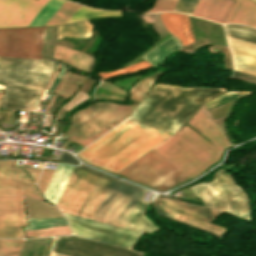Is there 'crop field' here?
Segmentation results:
<instances>
[{"instance_id": "1", "label": "crop field", "mask_w": 256, "mask_h": 256, "mask_svg": "<svg viewBox=\"0 0 256 256\" xmlns=\"http://www.w3.org/2000/svg\"><path fill=\"white\" fill-rule=\"evenodd\" d=\"M169 136L127 120L77 155L93 165L118 172Z\"/></svg>"}, {"instance_id": "2", "label": "crop field", "mask_w": 256, "mask_h": 256, "mask_svg": "<svg viewBox=\"0 0 256 256\" xmlns=\"http://www.w3.org/2000/svg\"><path fill=\"white\" fill-rule=\"evenodd\" d=\"M223 91L156 84L130 118L174 133L204 102Z\"/></svg>"}, {"instance_id": "3", "label": "crop field", "mask_w": 256, "mask_h": 256, "mask_svg": "<svg viewBox=\"0 0 256 256\" xmlns=\"http://www.w3.org/2000/svg\"><path fill=\"white\" fill-rule=\"evenodd\" d=\"M55 63L0 57V81L8 83L2 108L33 111Z\"/></svg>"}, {"instance_id": "4", "label": "crop field", "mask_w": 256, "mask_h": 256, "mask_svg": "<svg viewBox=\"0 0 256 256\" xmlns=\"http://www.w3.org/2000/svg\"><path fill=\"white\" fill-rule=\"evenodd\" d=\"M12 160L0 161V237L24 238L27 225L21 183H35L41 170L9 168Z\"/></svg>"}, {"instance_id": "5", "label": "crop field", "mask_w": 256, "mask_h": 256, "mask_svg": "<svg viewBox=\"0 0 256 256\" xmlns=\"http://www.w3.org/2000/svg\"><path fill=\"white\" fill-rule=\"evenodd\" d=\"M111 179L84 166L75 167L56 206L92 219Z\"/></svg>"}, {"instance_id": "6", "label": "crop field", "mask_w": 256, "mask_h": 256, "mask_svg": "<svg viewBox=\"0 0 256 256\" xmlns=\"http://www.w3.org/2000/svg\"><path fill=\"white\" fill-rule=\"evenodd\" d=\"M154 150L190 177L218 160L221 152L186 125Z\"/></svg>"}, {"instance_id": "7", "label": "crop field", "mask_w": 256, "mask_h": 256, "mask_svg": "<svg viewBox=\"0 0 256 256\" xmlns=\"http://www.w3.org/2000/svg\"><path fill=\"white\" fill-rule=\"evenodd\" d=\"M134 107L112 103H97L89 106L72 116L69 128L60 138L86 146L127 118Z\"/></svg>"}, {"instance_id": "8", "label": "crop field", "mask_w": 256, "mask_h": 256, "mask_svg": "<svg viewBox=\"0 0 256 256\" xmlns=\"http://www.w3.org/2000/svg\"><path fill=\"white\" fill-rule=\"evenodd\" d=\"M214 200L217 209L232 213L250 221L249 201L246 193L235 183L232 176L223 170H218L212 183H204ZM203 183L194 185L191 189L206 205L214 207Z\"/></svg>"}, {"instance_id": "9", "label": "crop field", "mask_w": 256, "mask_h": 256, "mask_svg": "<svg viewBox=\"0 0 256 256\" xmlns=\"http://www.w3.org/2000/svg\"><path fill=\"white\" fill-rule=\"evenodd\" d=\"M142 191L112 179L93 219L125 228Z\"/></svg>"}, {"instance_id": "10", "label": "crop field", "mask_w": 256, "mask_h": 256, "mask_svg": "<svg viewBox=\"0 0 256 256\" xmlns=\"http://www.w3.org/2000/svg\"><path fill=\"white\" fill-rule=\"evenodd\" d=\"M182 173L157 153L151 151L120 174L152 188L166 190L189 179Z\"/></svg>"}, {"instance_id": "11", "label": "crop field", "mask_w": 256, "mask_h": 256, "mask_svg": "<svg viewBox=\"0 0 256 256\" xmlns=\"http://www.w3.org/2000/svg\"><path fill=\"white\" fill-rule=\"evenodd\" d=\"M153 204L159 216L202 229L219 238L226 230L208 223L222 213L221 211L175 200L160 194Z\"/></svg>"}, {"instance_id": "12", "label": "crop field", "mask_w": 256, "mask_h": 256, "mask_svg": "<svg viewBox=\"0 0 256 256\" xmlns=\"http://www.w3.org/2000/svg\"><path fill=\"white\" fill-rule=\"evenodd\" d=\"M45 29H0V55L40 59Z\"/></svg>"}, {"instance_id": "13", "label": "crop field", "mask_w": 256, "mask_h": 256, "mask_svg": "<svg viewBox=\"0 0 256 256\" xmlns=\"http://www.w3.org/2000/svg\"><path fill=\"white\" fill-rule=\"evenodd\" d=\"M68 220L73 234L100 242L131 249L141 233L63 214Z\"/></svg>"}, {"instance_id": "14", "label": "crop field", "mask_w": 256, "mask_h": 256, "mask_svg": "<svg viewBox=\"0 0 256 256\" xmlns=\"http://www.w3.org/2000/svg\"><path fill=\"white\" fill-rule=\"evenodd\" d=\"M52 252L68 256H141L142 253L134 252L99 242L75 237H55Z\"/></svg>"}, {"instance_id": "15", "label": "crop field", "mask_w": 256, "mask_h": 256, "mask_svg": "<svg viewBox=\"0 0 256 256\" xmlns=\"http://www.w3.org/2000/svg\"><path fill=\"white\" fill-rule=\"evenodd\" d=\"M48 0H0V27L26 26Z\"/></svg>"}, {"instance_id": "16", "label": "crop field", "mask_w": 256, "mask_h": 256, "mask_svg": "<svg viewBox=\"0 0 256 256\" xmlns=\"http://www.w3.org/2000/svg\"><path fill=\"white\" fill-rule=\"evenodd\" d=\"M234 70L256 76V44L227 37Z\"/></svg>"}, {"instance_id": "17", "label": "crop field", "mask_w": 256, "mask_h": 256, "mask_svg": "<svg viewBox=\"0 0 256 256\" xmlns=\"http://www.w3.org/2000/svg\"><path fill=\"white\" fill-rule=\"evenodd\" d=\"M189 124L196 128L206 137L207 140L213 143L221 151L224 147L231 145L226 141L223 131L219 128V126L212 122L202 112H197L189 121Z\"/></svg>"}, {"instance_id": "18", "label": "crop field", "mask_w": 256, "mask_h": 256, "mask_svg": "<svg viewBox=\"0 0 256 256\" xmlns=\"http://www.w3.org/2000/svg\"><path fill=\"white\" fill-rule=\"evenodd\" d=\"M234 0H199L192 15L223 23Z\"/></svg>"}, {"instance_id": "19", "label": "crop field", "mask_w": 256, "mask_h": 256, "mask_svg": "<svg viewBox=\"0 0 256 256\" xmlns=\"http://www.w3.org/2000/svg\"><path fill=\"white\" fill-rule=\"evenodd\" d=\"M224 23H240L256 28V5L250 0H236Z\"/></svg>"}, {"instance_id": "20", "label": "crop field", "mask_w": 256, "mask_h": 256, "mask_svg": "<svg viewBox=\"0 0 256 256\" xmlns=\"http://www.w3.org/2000/svg\"><path fill=\"white\" fill-rule=\"evenodd\" d=\"M54 58L79 70L89 72L95 60L81 52L62 46L56 47Z\"/></svg>"}, {"instance_id": "21", "label": "crop field", "mask_w": 256, "mask_h": 256, "mask_svg": "<svg viewBox=\"0 0 256 256\" xmlns=\"http://www.w3.org/2000/svg\"><path fill=\"white\" fill-rule=\"evenodd\" d=\"M160 16H161V19H162L166 29L169 32L173 33L182 42L183 46L192 42V41H194L188 16L184 15L188 24H189L191 37L188 33L187 24H186V21L184 20V18L182 16V14H179V13H160ZM179 17H180V19L182 20V22L184 24L185 33H186V37L188 38V41H187V39L184 35L182 23H181Z\"/></svg>"}, {"instance_id": "22", "label": "crop field", "mask_w": 256, "mask_h": 256, "mask_svg": "<svg viewBox=\"0 0 256 256\" xmlns=\"http://www.w3.org/2000/svg\"><path fill=\"white\" fill-rule=\"evenodd\" d=\"M74 167L58 164L56 171L44 193L47 200L56 204Z\"/></svg>"}, {"instance_id": "23", "label": "crop field", "mask_w": 256, "mask_h": 256, "mask_svg": "<svg viewBox=\"0 0 256 256\" xmlns=\"http://www.w3.org/2000/svg\"><path fill=\"white\" fill-rule=\"evenodd\" d=\"M145 193L146 191L144 190L132 214V217L126 227L127 229H131V230H135L143 233H149V232L158 230V228L143 215L148 205V202L142 201Z\"/></svg>"}, {"instance_id": "24", "label": "crop field", "mask_w": 256, "mask_h": 256, "mask_svg": "<svg viewBox=\"0 0 256 256\" xmlns=\"http://www.w3.org/2000/svg\"><path fill=\"white\" fill-rule=\"evenodd\" d=\"M181 48L180 42L173 36L157 46L143 58L153 66L160 63L166 56Z\"/></svg>"}, {"instance_id": "25", "label": "crop field", "mask_w": 256, "mask_h": 256, "mask_svg": "<svg viewBox=\"0 0 256 256\" xmlns=\"http://www.w3.org/2000/svg\"><path fill=\"white\" fill-rule=\"evenodd\" d=\"M122 11H103L99 9L81 6L68 20V22L80 21L90 18L121 16ZM67 22V23H68Z\"/></svg>"}, {"instance_id": "26", "label": "crop field", "mask_w": 256, "mask_h": 256, "mask_svg": "<svg viewBox=\"0 0 256 256\" xmlns=\"http://www.w3.org/2000/svg\"><path fill=\"white\" fill-rule=\"evenodd\" d=\"M92 25L87 21L75 24L59 26V39L64 36L70 37H89L91 35Z\"/></svg>"}, {"instance_id": "27", "label": "crop field", "mask_w": 256, "mask_h": 256, "mask_svg": "<svg viewBox=\"0 0 256 256\" xmlns=\"http://www.w3.org/2000/svg\"><path fill=\"white\" fill-rule=\"evenodd\" d=\"M165 74V72L162 71H156L150 76H147L140 80L135 87L130 91L132 96L131 99L141 101L142 98L146 95V93L149 91V89L152 87V85Z\"/></svg>"}, {"instance_id": "28", "label": "crop field", "mask_w": 256, "mask_h": 256, "mask_svg": "<svg viewBox=\"0 0 256 256\" xmlns=\"http://www.w3.org/2000/svg\"><path fill=\"white\" fill-rule=\"evenodd\" d=\"M64 2V0H50L27 26H45Z\"/></svg>"}, {"instance_id": "29", "label": "crop field", "mask_w": 256, "mask_h": 256, "mask_svg": "<svg viewBox=\"0 0 256 256\" xmlns=\"http://www.w3.org/2000/svg\"><path fill=\"white\" fill-rule=\"evenodd\" d=\"M84 79H85L84 76H77L75 74L67 72L65 74L63 80L61 81V83L59 84L57 89L55 90V93L61 95L62 97H64L66 99L71 94H73L78 87L76 85H72V84H68V83L80 84ZM66 82H68V83H66Z\"/></svg>"}, {"instance_id": "30", "label": "crop field", "mask_w": 256, "mask_h": 256, "mask_svg": "<svg viewBox=\"0 0 256 256\" xmlns=\"http://www.w3.org/2000/svg\"><path fill=\"white\" fill-rule=\"evenodd\" d=\"M26 203H45L35 198L25 195ZM27 207H44L51 206L49 204H26ZM45 208H56V207H45ZM27 210H58V209H27ZM28 217H39V218H55L62 217L59 211H27Z\"/></svg>"}, {"instance_id": "31", "label": "crop field", "mask_w": 256, "mask_h": 256, "mask_svg": "<svg viewBox=\"0 0 256 256\" xmlns=\"http://www.w3.org/2000/svg\"><path fill=\"white\" fill-rule=\"evenodd\" d=\"M224 29L227 36L256 43V30L254 29L239 25H225Z\"/></svg>"}, {"instance_id": "32", "label": "crop field", "mask_w": 256, "mask_h": 256, "mask_svg": "<svg viewBox=\"0 0 256 256\" xmlns=\"http://www.w3.org/2000/svg\"><path fill=\"white\" fill-rule=\"evenodd\" d=\"M80 7V5H76L66 1L64 5L52 16L49 22L46 24L54 25V24H62L66 23L69 17Z\"/></svg>"}, {"instance_id": "33", "label": "crop field", "mask_w": 256, "mask_h": 256, "mask_svg": "<svg viewBox=\"0 0 256 256\" xmlns=\"http://www.w3.org/2000/svg\"><path fill=\"white\" fill-rule=\"evenodd\" d=\"M27 220L30 226L25 227V230L68 225L64 218H56V219L27 218Z\"/></svg>"}, {"instance_id": "34", "label": "crop field", "mask_w": 256, "mask_h": 256, "mask_svg": "<svg viewBox=\"0 0 256 256\" xmlns=\"http://www.w3.org/2000/svg\"><path fill=\"white\" fill-rule=\"evenodd\" d=\"M24 240H0V254H19ZM18 256V255H0Z\"/></svg>"}, {"instance_id": "35", "label": "crop field", "mask_w": 256, "mask_h": 256, "mask_svg": "<svg viewBox=\"0 0 256 256\" xmlns=\"http://www.w3.org/2000/svg\"><path fill=\"white\" fill-rule=\"evenodd\" d=\"M152 65H150L149 63H147L146 61H141L137 64L122 68L120 70H115V71H110V72H104V73H98L103 79L106 78H110L113 76H117L120 74H124V73H129V72H133L139 69H143V68H147V67H151Z\"/></svg>"}, {"instance_id": "36", "label": "crop field", "mask_w": 256, "mask_h": 256, "mask_svg": "<svg viewBox=\"0 0 256 256\" xmlns=\"http://www.w3.org/2000/svg\"><path fill=\"white\" fill-rule=\"evenodd\" d=\"M28 237H39L46 235H57V234H70L69 227H57V228H48V229H38L25 231Z\"/></svg>"}, {"instance_id": "37", "label": "crop field", "mask_w": 256, "mask_h": 256, "mask_svg": "<svg viewBox=\"0 0 256 256\" xmlns=\"http://www.w3.org/2000/svg\"><path fill=\"white\" fill-rule=\"evenodd\" d=\"M250 93H236V92H228L226 94H223L215 99H213L212 101H210L209 103L205 104L207 108H211L217 104H219L220 102L222 101H225V100H229V99H236V98H239V97H243V96H246V95H249Z\"/></svg>"}, {"instance_id": "38", "label": "crop field", "mask_w": 256, "mask_h": 256, "mask_svg": "<svg viewBox=\"0 0 256 256\" xmlns=\"http://www.w3.org/2000/svg\"><path fill=\"white\" fill-rule=\"evenodd\" d=\"M197 1L198 0H178L175 10L191 15Z\"/></svg>"}, {"instance_id": "39", "label": "crop field", "mask_w": 256, "mask_h": 256, "mask_svg": "<svg viewBox=\"0 0 256 256\" xmlns=\"http://www.w3.org/2000/svg\"><path fill=\"white\" fill-rule=\"evenodd\" d=\"M174 1L171 0H156L154 8L149 10V12L155 11H173L175 6Z\"/></svg>"}, {"instance_id": "40", "label": "crop field", "mask_w": 256, "mask_h": 256, "mask_svg": "<svg viewBox=\"0 0 256 256\" xmlns=\"http://www.w3.org/2000/svg\"><path fill=\"white\" fill-rule=\"evenodd\" d=\"M53 170H47V169H44L38 183H37V186L39 187V189L42 191V193H44L49 181H50V178L53 174Z\"/></svg>"}, {"instance_id": "41", "label": "crop field", "mask_w": 256, "mask_h": 256, "mask_svg": "<svg viewBox=\"0 0 256 256\" xmlns=\"http://www.w3.org/2000/svg\"><path fill=\"white\" fill-rule=\"evenodd\" d=\"M23 193L38 198L42 199V196L40 195L39 191L33 186V185H23Z\"/></svg>"}, {"instance_id": "42", "label": "crop field", "mask_w": 256, "mask_h": 256, "mask_svg": "<svg viewBox=\"0 0 256 256\" xmlns=\"http://www.w3.org/2000/svg\"><path fill=\"white\" fill-rule=\"evenodd\" d=\"M59 161L74 164V165H78L79 163L73 156L69 155L66 152L63 153Z\"/></svg>"}, {"instance_id": "43", "label": "crop field", "mask_w": 256, "mask_h": 256, "mask_svg": "<svg viewBox=\"0 0 256 256\" xmlns=\"http://www.w3.org/2000/svg\"><path fill=\"white\" fill-rule=\"evenodd\" d=\"M98 87L108 89V90H112V91L119 92V93L127 95V93L124 92L122 89H120L118 87H115V86H113L109 83H101Z\"/></svg>"}, {"instance_id": "44", "label": "crop field", "mask_w": 256, "mask_h": 256, "mask_svg": "<svg viewBox=\"0 0 256 256\" xmlns=\"http://www.w3.org/2000/svg\"><path fill=\"white\" fill-rule=\"evenodd\" d=\"M66 71V68L62 66V68L60 69L51 89H50V92H53V90L56 88L58 82L60 81V79L62 78L63 74L65 73Z\"/></svg>"}, {"instance_id": "45", "label": "crop field", "mask_w": 256, "mask_h": 256, "mask_svg": "<svg viewBox=\"0 0 256 256\" xmlns=\"http://www.w3.org/2000/svg\"><path fill=\"white\" fill-rule=\"evenodd\" d=\"M43 165H44L43 163H39L38 166H37V168L42 169V168H43Z\"/></svg>"}, {"instance_id": "46", "label": "crop field", "mask_w": 256, "mask_h": 256, "mask_svg": "<svg viewBox=\"0 0 256 256\" xmlns=\"http://www.w3.org/2000/svg\"><path fill=\"white\" fill-rule=\"evenodd\" d=\"M50 256H64V255H60V254H56V253H52L51 252V255Z\"/></svg>"}, {"instance_id": "47", "label": "crop field", "mask_w": 256, "mask_h": 256, "mask_svg": "<svg viewBox=\"0 0 256 256\" xmlns=\"http://www.w3.org/2000/svg\"><path fill=\"white\" fill-rule=\"evenodd\" d=\"M2 93H3V91H0V99H1V97H2Z\"/></svg>"}, {"instance_id": "48", "label": "crop field", "mask_w": 256, "mask_h": 256, "mask_svg": "<svg viewBox=\"0 0 256 256\" xmlns=\"http://www.w3.org/2000/svg\"><path fill=\"white\" fill-rule=\"evenodd\" d=\"M253 1H255V2H256V0H253Z\"/></svg>"}, {"instance_id": "49", "label": "crop field", "mask_w": 256, "mask_h": 256, "mask_svg": "<svg viewBox=\"0 0 256 256\" xmlns=\"http://www.w3.org/2000/svg\"><path fill=\"white\" fill-rule=\"evenodd\" d=\"M175 1H177V0H175Z\"/></svg>"}]
</instances>
